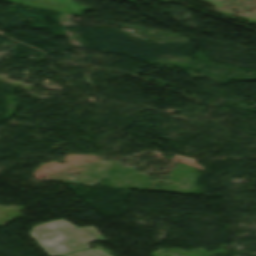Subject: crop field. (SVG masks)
<instances>
[{"instance_id": "crop-field-1", "label": "crop field", "mask_w": 256, "mask_h": 256, "mask_svg": "<svg viewBox=\"0 0 256 256\" xmlns=\"http://www.w3.org/2000/svg\"><path fill=\"white\" fill-rule=\"evenodd\" d=\"M29 234L50 256H109L86 245L104 240L94 227L79 228L59 219L36 225Z\"/></svg>"}]
</instances>
